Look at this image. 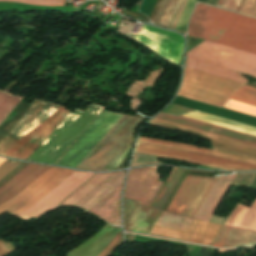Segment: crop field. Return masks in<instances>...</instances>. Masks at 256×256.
<instances>
[{
	"label": "crop field",
	"mask_w": 256,
	"mask_h": 256,
	"mask_svg": "<svg viewBox=\"0 0 256 256\" xmlns=\"http://www.w3.org/2000/svg\"><path fill=\"white\" fill-rule=\"evenodd\" d=\"M158 167L130 170L125 187L124 197L140 201V204L150 206L162 182L157 181L155 174Z\"/></svg>",
	"instance_id": "crop-field-12"
},
{
	"label": "crop field",
	"mask_w": 256,
	"mask_h": 256,
	"mask_svg": "<svg viewBox=\"0 0 256 256\" xmlns=\"http://www.w3.org/2000/svg\"><path fill=\"white\" fill-rule=\"evenodd\" d=\"M193 219L162 211L156 225L187 231ZM154 225L150 236L211 246L221 226L194 219L187 232Z\"/></svg>",
	"instance_id": "crop-field-6"
},
{
	"label": "crop field",
	"mask_w": 256,
	"mask_h": 256,
	"mask_svg": "<svg viewBox=\"0 0 256 256\" xmlns=\"http://www.w3.org/2000/svg\"><path fill=\"white\" fill-rule=\"evenodd\" d=\"M106 229L100 231L93 238L82 246L66 254L67 256H97L109 241L120 230V227H114L110 224Z\"/></svg>",
	"instance_id": "crop-field-20"
},
{
	"label": "crop field",
	"mask_w": 256,
	"mask_h": 256,
	"mask_svg": "<svg viewBox=\"0 0 256 256\" xmlns=\"http://www.w3.org/2000/svg\"><path fill=\"white\" fill-rule=\"evenodd\" d=\"M183 116H187V117H190V118H194V119H197V120L205 121V122H208V123H212V124H215V125H219V126H222V127H226V128H229V129L237 130V131H240V132H244V133L256 136V128L246 126V125H243V124H239V123H235V122H232V121H228V120H225V119H221V118H218V117H214V116H211V115H207V114H203V113H200V112L193 111V112L185 114Z\"/></svg>",
	"instance_id": "crop-field-26"
},
{
	"label": "crop field",
	"mask_w": 256,
	"mask_h": 256,
	"mask_svg": "<svg viewBox=\"0 0 256 256\" xmlns=\"http://www.w3.org/2000/svg\"><path fill=\"white\" fill-rule=\"evenodd\" d=\"M225 225L256 231V199L250 208L238 204Z\"/></svg>",
	"instance_id": "crop-field-24"
},
{
	"label": "crop field",
	"mask_w": 256,
	"mask_h": 256,
	"mask_svg": "<svg viewBox=\"0 0 256 256\" xmlns=\"http://www.w3.org/2000/svg\"><path fill=\"white\" fill-rule=\"evenodd\" d=\"M135 152L174 158L224 170H256V165L205 155L185 149L137 141Z\"/></svg>",
	"instance_id": "crop-field-10"
},
{
	"label": "crop field",
	"mask_w": 256,
	"mask_h": 256,
	"mask_svg": "<svg viewBox=\"0 0 256 256\" xmlns=\"http://www.w3.org/2000/svg\"><path fill=\"white\" fill-rule=\"evenodd\" d=\"M92 175L94 174L75 171L31 209L17 216L25 220L32 216L36 218L41 216L42 214L55 207L59 202L66 198L86 180H88Z\"/></svg>",
	"instance_id": "crop-field-13"
},
{
	"label": "crop field",
	"mask_w": 256,
	"mask_h": 256,
	"mask_svg": "<svg viewBox=\"0 0 256 256\" xmlns=\"http://www.w3.org/2000/svg\"><path fill=\"white\" fill-rule=\"evenodd\" d=\"M167 1L168 0H162L161 5H160V7H159V9L157 11V14H156V16H155V18L153 20L154 24L158 23V21H159V19L161 17V14H162V12H163V10L165 8V5H166Z\"/></svg>",
	"instance_id": "crop-field-41"
},
{
	"label": "crop field",
	"mask_w": 256,
	"mask_h": 256,
	"mask_svg": "<svg viewBox=\"0 0 256 256\" xmlns=\"http://www.w3.org/2000/svg\"><path fill=\"white\" fill-rule=\"evenodd\" d=\"M237 174L227 177H219L218 181L216 182L215 186L210 192L208 198L206 199L205 203L203 204L202 208L197 214L196 219L209 222L216 207L218 206L219 202L221 201L229 187L232 185Z\"/></svg>",
	"instance_id": "crop-field-19"
},
{
	"label": "crop field",
	"mask_w": 256,
	"mask_h": 256,
	"mask_svg": "<svg viewBox=\"0 0 256 256\" xmlns=\"http://www.w3.org/2000/svg\"><path fill=\"white\" fill-rule=\"evenodd\" d=\"M155 118L256 146V137L254 136L222 128L205 122L197 121L187 117H174L170 115L164 116L158 114Z\"/></svg>",
	"instance_id": "crop-field-15"
},
{
	"label": "crop field",
	"mask_w": 256,
	"mask_h": 256,
	"mask_svg": "<svg viewBox=\"0 0 256 256\" xmlns=\"http://www.w3.org/2000/svg\"><path fill=\"white\" fill-rule=\"evenodd\" d=\"M6 159L0 158V164L5 161Z\"/></svg>",
	"instance_id": "crop-field-44"
},
{
	"label": "crop field",
	"mask_w": 256,
	"mask_h": 256,
	"mask_svg": "<svg viewBox=\"0 0 256 256\" xmlns=\"http://www.w3.org/2000/svg\"><path fill=\"white\" fill-rule=\"evenodd\" d=\"M136 40L146 44L167 60L179 64L184 45L180 35L144 25Z\"/></svg>",
	"instance_id": "crop-field-11"
},
{
	"label": "crop field",
	"mask_w": 256,
	"mask_h": 256,
	"mask_svg": "<svg viewBox=\"0 0 256 256\" xmlns=\"http://www.w3.org/2000/svg\"><path fill=\"white\" fill-rule=\"evenodd\" d=\"M73 172L51 167L15 198L0 205V215L7 211L16 215L32 207Z\"/></svg>",
	"instance_id": "crop-field-8"
},
{
	"label": "crop field",
	"mask_w": 256,
	"mask_h": 256,
	"mask_svg": "<svg viewBox=\"0 0 256 256\" xmlns=\"http://www.w3.org/2000/svg\"><path fill=\"white\" fill-rule=\"evenodd\" d=\"M217 179L186 176L166 211L195 218Z\"/></svg>",
	"instance_id": "crop-field-9"
},
{
	"label": "crop field",
	"mask_w": 256,
	"mask_h": 256,
	"mask_svg": "<svg viewBox=\"0 0 256 256\" xmlns=\"http://www.w3.org/2000/svg\"><path fill=\"white\" fill-rule=\"evenodd\" d=\"M0 1H16L30 4H39L46 6H63L64 0H0Z\"/></svg>",
	"instance_id": "crop-field-35"
},
{
	"label": "crop field",
	"mask_w": 256,
	"mask_h": 256,
	"mask_svg": "<svg viewBox=\"0 0 256 256\" xmlns=\"http://www.w3.org/2000/svg\"><path fill=\"white\" fill-rule=\"evenodd\" d=\"M195 2H196V0H188L187 1L176 27L184 26L186 24Z\"/></svg>",
	"instance_id": "crop-field-34"
},
{
	"label": "crop field",
	"mask_w": 256,
	"mask_h": 256,
	"mask_svg": "<svg viewBox=\"0 0 256 256\" xmlns=\"http://www.w3.org/2000/svg\"><path fill=\"white\" fill-rule=\"evenodd\" d=\"M239 12L256 17V0H244Z\"/></svg>",
	"instance_id": "crop-field-37"
},
{
	"label": "crop field",
	"mask_w": 256,
	"mask_h": 256,
	"mask_svg": "<svg viewBox=\"0 0 256 256\" xmlns=\"http://www.w3.org/2000/svg\"><path fill=\"white\" fill-rule=\"evenodd\" d=\"M70 111L36 100L0 140V155L26 160Z\"/></svg>",
	"instance_id": "crop-field-2"
},
{
	"label": "crop field",
	"mask_w": 256,
	"mask_h": 256,
	"mask_svg": "<svg viewBox=\"0 0 256 256\" xmlns=\"http://www.w3.org/2000/svg\"><path fill=\"white\" fill-rule=\"evenodd\" d=\"M186 67L246 84L242 75L256 77V55L205 41L187 52Z\"/></svg>",
	"instance_id": "crop-field-3"
},
{
	"label": "crop field",
	"mask_w": 256,
	"mask_h": 256,
	"mask_svg": "<svg viewBox=\"0 0 256 256\" xmlns=\"http://www.w3.org/2000/svg\"><path fill=\"white\" fill-rule=\"evenodd\" d=\"M131 145H132V144H131ZM131 145H130V147L121 155V157L112 165V167H111L109 170L115 169V168L121 163V161L129 154ZM109 170H108V171H109Z\"/></svg>",
	"instance_id": "crop-field-42"
},
{
	"label": "crop field",
	"mask_w": 256,
	"mask_h": 256,
	"mask_svg": "<svg viewBox=\"0 0 256 256\" xmlns=\"http://www.w3.org/2000/svg\"><path fill=\"white\" fill-rule=\"evenodd\" d=\"M124 174L125 171L116 172L76 206H79L88 211L114 188H116L120 183L123 182Z\"/></svg>",
	"instance_id": "crop-field-23"
},
{
	"label": "crop field",
	"mask_w": 256,
	"mask_h": 256,
	"mask_svg": "<svg viewBox=\"0 0 256 256\" xmlns=\"http://www.w3.org/2000/svg\"><path fill=\"white\" fill-rule=\"evenodd\" d=\"M230 99L256 105V88L244 85L237 89ZM230 99L224 104V108L256 116V106Z\"/></svg>",
	"instance_id": "crop-field-22"
},
{
	"label": "crop field",
	"mask_w": 256,
	"mask_h": 256,
	"mask_svg": "<svg viewBox=\"0 0 256 256\" xmlns=\"http://www.w3.org/2000/svg\"><path fill=\"white\" fill-rule=\"evenodd\" d=\"M209 154L219 156V157H224V158H229V159H234V160H238V161H243V162L256 164V160L249 159V158H246V157H242V156H239V155H235V154L225 152V151H222V150H218V149H215V148H213L212 151Z\"/></svg>",
	"instance_id": "crop-field-32"
},
{
	"label": "crop field",
	"mask_w": 256,
	"mask_h": 256,
	"mask_svg": "<svg viewBox=\"0 0 256 256\" xmlns=\"http://www.w3.org/2000/svg\"><path fill=\"white\" fill-rule=\"evenodd\" d=\"M211 251H212L211 248L202 247L201 251L197 256H209Z\"/></svg>",
	"instance_id": "crop-field-43"
},
{
	"label": "crop field",
	"mask_w": 256,
	"mask_h": 256,
	"mask_svg": "<svg viewBox=\"0 0 256 256\" xmlns=\"http://www.w3.org/2000/svg\"><path fill=\"white\" fill-rule=\"evenodd\" d=\"M160 210L138 204V201L124 198L125 230L147 235Z\"/></svg>",
	"instance_id": "crop-field-14"
},
{
	"label": "crop field",
	"mask_w": 256,
	"mask_h": 256,
	"mask_svg": "<svg viewBox=\"0 0 256 256\" xmlns=\"http://www.w3.org/2000/svg\"><path fill=\"white\" fill-rule=\"evenodd\" d=\"M184 171L185 169H180V168L173 169L171 175L164 183L162 189L160 190L159 194L157 195L151 207L162 210L164 204L166 203L167 199L169 198L171 192L173 191L174 187L176 186L178 180L180 179Z\"/></svg>",
	"instance_id": "crop-field-27"
},
{
	"label": "crop field",
	"mask_w": 256,
	"mask_h": 256,
	"mask_svg": "<svg viewBox=\"0 0 256 256\" xmlns=\"http://www.w3.org/2000/svg\"><path fill=\"white\" fill-rule=\"evenodd\" d=\"M113 173L96 174L58 206H75Z\"/></svg>",
	"instance_id": "crop-field-25"
},
{
	"label": "crop field",
	"mask_w": 256,
	"mask_h": 256,
	"mask_svg": "<svg viewBox=\"0 0 256 256\" xmlns=\"http://www.w3.org/2000/svg\"><path fill=\"white\" fill-rule=\"evenodd\" d=\"M191 110H193V109H189V108L182 107V106H179V105L171 104L170 106H168L162 112L170 114V115H174V116H179V115H182V114H184L186 112H189Z\"/></svg>",
	"instance_id": "crop-field-38"
},
{
	"label": "crop field",
	"mask_w": 256,
	"mask_h": 256,
	"mask_svg": "<svg viewBox=\"0 0 256 256\" xmlns=\"http://www.w3.org/2000/svg\"><path fill=\"white\" fill-rule=\"evenodd\" d=\"M187 0H169L158 24L174 28Z\"/></svg>",
	"instance_id": "crop-field-28"
},
{
	"label": "crop field",
	"mask_w": 256,
	"mask_h": 256,
	"mask_svg": "<svg viewBox=\"0 0 256 256\" xmlns=\"http://www.w3.org/2000/svg\"><path fill=\"white\" fill-rule=\"evenodd\" d=\"M256 244V232L223 226L213 246L219 248L243 247Z\"/></svg>",
	"instance_id": "crop-field-18"
},
{
	"label": "crop field",
	"mask_w": 256,
	"mask_h": 256,
	"mask_svg": "<svg viewBox=\"0 0 256 256\" xmlns=\"http://www.w3.org/2000/svg\"><path fill=\"white\" fill-rule=\"evenodd\" d=\"M189 36L256 54V19L205 4L196 5Z\"/></svg>",
	"instance_id": "crop-field-1"
},
{
	"label": "crop field",
	"mask_w": 256,
	"mask_h": 256,
	"mask_svg": "<svg viewBox=\"0 0 256 256\" xmlns=\"http://www.w3.org/2000/svg\"><path fill=\"white\" fill-rule=\"evenodd\" d=\"M243 0H219L217 3V7L239 11Z\"/></svg>",
	"instance_id": "crop-field-36"
},
{
	"label": "crop field",
	"mask_w": 256,
	"mask_h": 256,
	"mask_svg": "<svg viewBox=\"0 0 256 256\" xmlns=\"http://www.w3.org/2000/svg\"><path fill=\"white\" fill-rule=\"evenodd\" d=\"M142 121L122 115L77 168L107 171L133 142L134 131Z\"/></svg>",
	"instance_id": "crop-field-5"
},
{
	"label": "crop field",
	"mask_w": 256,
	"mask_h": 256,
	"mask_svg": "<svg viewBox=\"0 0 256 256\" xmlns=\"http://www.w3.org/2000/svg\"><path fill=\"white\" fill-rule=\"evenodd\" d=\"M121 243V231H119L108 246L98 256H110Z\"/></svg>",
	"instance_id": "crop-field-33"
},
{
	"label": "crop field",
	"mask_w": 256,
	"mask_h": 256,
	"mask_svg": "<svg viewBox=\"0 0 256 256\" xmlns=\"http://www.w3.org/2000/svg\"><path fill=\"white\" fill-rule=\"evenodd\" d=\"M157 157L142 155V154H133L130 167L139 166L144 164H164L156 160Z\"/></svg>",
	"instance_id": "crop-field-30"
},
{
	"label": "crop field",
	"mask_w": 256,
	"mask_h": 256,
	"mask_svg": "<svg viewBox=\"0 0 256 256\" xmlns=\"http://www.w3.org/2000/svg\"><path fill=\"white\" fill-rule=\"evenodd\" d=\"M15 251L11 244L0 239V256H5Z\"/></svg>",
	"instance_id": "crop-field-40"
},
{
	"label": "crop field",
	"mask_w": 256,
	"mask_h": 256,
	"mask_svg": "<svg viewBox=\"0 0 256 256\" xmlns=\"http://www.w3.org/2000/svg\"><path fill=\"white\" fill-rule=\"evenodd\" d=\"M20 161L7 159L0 165V179L5 176L8 172H10L13 168H15Z\"/></svg>",
	"instance_id": "crop-field-39"
},
{
	"label": "crop field",
	"mask_w": 256,
	"mask_h": 256,
	"mask_svg": "<svg viewBox=\"0 0 256 256\" xmlns=\"http://www.w3.org/2000/svg\"><path fill=\"white\" fill-rule=\"evenodd\" d=\"M149 124H153V125L168 128V129H171V130H175V131H179V132H183V133H187V134L207 138V139H210L212 145L215 146L216 148L256 159V148L252 147V146H248V145L241 144V143H238V142L230 141V140H227V139H223V138H220V137L205 134V133H202V132L187 129V128H184V127H180V126H177V125H173V124L162 122V121L155 120V119L150 121Z\"/></svg>",
	"instance_id": "crop-field-16"
},
{
	"label": "crop field",
	"mask_w": 256,
	"mask_h": 256,
	"mask_svg": "<svg viewBox=\"0 0 256 256\" xmlns=\"http://www.w3.org/2000/svg\"><path fill=\"white\" fill-rule=\"evenodd\" d=\"M48 168L50 167L29 163L0 188V204L15 197Z\"/></svg>",
	"instance_id": "crop-field-17"
},
{
	"label": "crop field",
	"mask_w": 256,
	"mask_h": 256,
	"mask_svg": "<svg viewBox=\"0 0 256 256\" xmlns=\"http://www.w3.org/2000/svg\"><path fill=\"white\" fill-rule=\"evenodd\" d=\"M103 106L91 103L85 112L75 109L58 125L41 146L27 159L53 164L102 111Z\"/></svg>",
	"instance_id": "crop-field-4"
},
{
	"label": "crop field",
	"mask_w": 256,
	"mask_h": 256,
	"mask_svg": "<svg viewBox=\"0 0 256 256\" xmlns=\"http://www.w3.org/2000/svg\"><path fill=\"white\" fill-rule=\"evenodd\" d=\"M122 184L89 210V212L101 217L111 224L116 225L119 223L120 192Z\"/></svg>",
	"instance_id": "crop-field-21"
},
{
	"label": "crop field",
	"mask_w": 256,
	"mask_h": 256,
	"mask_svg": "<svg viewBox=\"0 0 256 256\" xmlns=\"http://www.w3.org/2000/svg\"><path fill=\"white\" fill-rule=\"evenodd\" d=\"M22 97L12 96L0 92V122L8 115V113L18 104Z\"/></svg>",
	"instance_id": "crop-field-29"
},
{
	"label": "crop field",
	"mask_w": 256,
	"mask_h": 256,
	"mask_svg": "<svg viewBox=\"0 0 256 256\" xmlns=\"http://www.w3.org/2000/svg\"><path fill=\"white\" fill-rule=\"evenodd\" d=\"M240 83L185 68L178 96L222 107Z\"/></svg>",
	"instance_id": "crop-field-7"
},
{
	"label": "crop field",
	"mask_w": 256,
	"mask_h": 256,
	"mask_svg": "<svg viewBox=\"0 0 256 256\" xmlns=\"http://www.w3.org/2000/svg\"><path fill=\"white\" fill-rule=\"evenodd\" d=\"M138 140L139 141H145V142H151V143H157V144H163V145L186 148V149H190V150H194V151H198V152H202V153H206V154H208L210 152L209 151L210 149L205 150V149H201V148H197V147H193V146H189V145L171 143V142H166V141H160V140H154V139H148V138H142V137H139Z\"/></svg>",
	"instance_id": "crop-field-31"
}]
</instances>
